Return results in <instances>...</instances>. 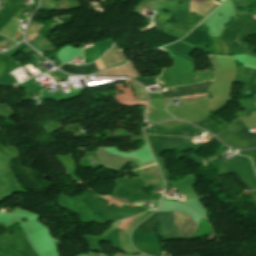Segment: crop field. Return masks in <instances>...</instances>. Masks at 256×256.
I'll list each match as a JSON object with an SVG mask.
<instances>
[{
	"mask_svg": "<svg viewBox=\"0 0 256 256\" xmlns=\"http://www.w3.org/2000/svg\"><path fill=\"white\" fill-rule=\"evenodd\" d=\"M38 33L34 34L32 37L28 38V41H31L33 38H35ZM34 48L41 52L45 51H54L55 49L51 46L49 42H47L41 35L37 36L35 39H33L31 42H29Z\"/></svg>",
	"mask_w": 256,
	"mask_h": 256,
	"instance_id": "obj_9",
	"label": "crop field"
},
{
	"mask_svg": "<svg viewBox=\"0 0 256 256\" xmlns=\"http://www.w3.org/2000/svg\"><path fill=\"white\" fill-rule=\"evenodd\" d=\"M128 81L135 89L137 101L147 100V95L144 88L135 81H131V80H128Z\"/></svg>",
	"mask_w": 256,
	"mask_h": 256,
	"instance_id": "obj_11",
	"label": "crop field"
},
{
	"mask_svg": "<svg viewBox=\"0 0 256 256\" xmlns=\"http://www.w3.org/2000/svg\"><path fill=\"white\" fill-rule=\"evenodd\" d=\"M105 198H107L108 200L112 201V202L115 203L116 205L121 206V203H118V202L114 201L113 199H111V198H109V197H105Z\"/></svg>",
	"mask_w": 256,
	"mask_h": 256,
	"instance_id": "obj_15",
	"label": "crop field"
},
{
	"mask_svg": "<svg viewBox=\"0 0 256 256\" xmlns=\"http://www.w3.org/2000/svg\"><path fill=\"white\" fill-rule=\"evenodd\" d=\"M133 68H134L133 65L129 61L127 64H125L121 67L103 71V72H99L96 74H99V75H124V76H129L131 78L139 77V76H136L138 74H137L136 70H134Z\"/></svg>",
	"mask_w": 256,
	"mask_h": 256,
	"instance_id": "obj_7",
	"label": "crop field"
},
{
	"mask_svg": "<svg viewBox=\"0 0 256 256\" xmlns=\"http://www.w3.org/2000/svg\"><path fill=\"white\" fill-rule=\"evenodd\" d=\"M111 197H113V198H115V199H117V200H119V201H121V202L129 203V201H128V200H125V199L119 198V197H117V196L112 195Z\"/></svg>",
	"mask_w": 256,
	"mask_h": 256,
	"instance_id": "obj_14",
	"label": "crop field"
},
{
	"mask_svg": "<svg viewBox=\"0 0 256 256\" xmlns=\"http://www.w3.org/2000/svg\"><path fill=\"white\" fill-rule=\"evenodd\" d=\"M100 59L104 62V64L107 67L126 61L122 53L118 50L116 46H113V48L107 51L106 54ZM101 60H98L95 63L98 65L100 69L106 68V66L103 64ZM95 63H92L89 66H82V67L64 65L61 68L71 73H78V74L89 73L99 69Z\"/></svg>",
	"mask_w": 256,
	"mask_h": 256,
	"instance_id": "obj_2",
	"label": "crop field"
},
{
	"mask_svg": "<svg viewBox=\"0 0 256 256\" xmlns=\"http://www.w3.org/2000/svg\"><path fill=\"white\" fill-rule=\"evenodd\" d=\"M210 83L211 82L202 83V84H198V85L193 84V85H189L188 87L180 86V87H177V88H179V91L177 93H174V91H169V92H161V94L163 95L164 98H171V97H177V96L206 93V90H207L208 86L210 85ZM201 95H203V94H201ZM192 96H196V95H192ZM185 97H190V96H185ZM181 98H184V97H181ZM203 98H206V95L184 98V99H182V102H183V104H185L188 102L201 100Z\"/></svg>",
	"mask_w": 256,
	"mask_h": 256,
	"instance_id": "obj_3",
	"label": "crop field"
},
{
	"mask_svg": "<svg viewBox=\"0 0 256 256\" xmlns=\"http://www.w3.org/2000/svg\"><path fill=\"white\" fill-rule=\"evenodd\" d=\"M126 83L128 84V82L126 81ZM117 87V91H116V94L117 96L114 97L120 104L122 105H127V106H133V105H145L147 101H142V102H135V99H134V96L131 92V89L129 87V84H128V88H123V85L120 84V85H116ZM124 91V94L123 95H119L118 94V91Z\"/></svg>",
	"mask_w": 256,
	"mask_h": 256,
	"instance_id": "obj_5",
	"label": "crop field"
},
{
	"mask_svg": "<svg viewBox=\"0 0 256 256\" xmlns=\"http://www.w3.org/2000/svg\"><path fill=\"white\" fill-rule=\"evenodd\" d=\"M40 25L36 24L35 22H32L27 30L26 37H29L32 35L34 32L38 30Z\"/></svg>",
	"mask_w": 256,
	"mask_h": 256,
	"instance_id": "obj_12",
	"label": "crop field"
},
{
	"mask_svg": "<svg viewBox=\"0 0 256 256\" xmlns=\"http://www.w3.org/2000/svg\"><path fill=\"white\" fill-rule=\"evenodd\" d=\"M19 19L16 18H12L7 24L6 26L0 31V34L8 37V38H13V35L15 33V30L19 24Z\"/></svg>",
	"mask_w": 256,
	"mask_h": 256,
	"instance_id": "obj_10",
	"label": "crop field"
},
{
	"mask_svg": "<svg viewBox=\"0 0 256 256\" xmlns=\"http://www.w3.org/2000/svg\"><path fill=\"white\" fill-rule=\"evenodd\" d=\"M11 42H12V41H10V40H8V39L2 37V38H0V47L3 46V45L9 44V43H11Z\"/></svg>",
	"mask_w": 256,
	"mask_h": 256,
	"instance_id": "obj_13",
	"label": "crop field"
},
{
	"mask_svg": "<svg viewBox=\"0 0 256 256\" xmlns=\"http://www.w3.org/2000/svg\"><path fill=\"white\" fill-rule=\"evenodd\" d=\"M144 213H141L137 216L133 217L132 218H127V219H124L121 224L118 226V228L124 230L125 227L129 224H130L126 227V229L124 231L120 230L119 231V234H118V243L119 245L122 247V249L128 253H134L135 251L129 246L128 244V239H127V235H128V231L130 229V227L143 215Z\"/></svg>",
	"mask_w": 256,
	"mask_h": 256,
	"instance_id": "obj_4",
	"label": "crop field"
},
{
	"mask_svg": "<svg viewBox=\"0 0 256 256\" xmlns=\"http://www.w3.org/2000/svg\"><path fill=\"white\" fill-rule=\"evenodd\" d=\"M211 57L213 58V63H214V65H215V67H217L216 61H215V57H214V56H211Z\"/></svg>",
	"mask_w": 256,
	"mask_h": 256,
	"instance_id": "obj_16",
	"label": "crop field"
},
{
	"mask_svg": "<svg viewBox=\"0 0 256 256\" xmlns=\"http://www.w3.org/2000/svg\"><path fill=\"white\" fill-rule=\"evenodd\" d=\"M215 6L208 1L191 0L189 11L205 17Z\"/></svg>",
	"mask_w": 256,
	"mask_h": 256,
	"instance_id": "obj_6",
	"label": "crop field"
},
{
	"mask_svg": "<svg viewBox=\"0 0 256 256\" xmlns=\"http://www.w3.org/2000/svg\"><path fill=\"white\" fill-rule=\"evenodd\" d=\"M156 212L162 226V235L166 239L185 238L184 235L187 238L194 234L198 229L200 219H187V217L175 212L174 220V212L162 210H156ZM156 212L140 223L134 231L154 234L153 227L156 222L159 221ZM173 220L176 226L182 225L186 220L185 224L179 227L184 235L181 233L178 227L172 223Z\"/></svg>",
	"mask_w": 256,
	"mask_h": 256,
	"instance_id": "obj_1",
	"label": "crop field"
},
{
	"mask_svg": "<svg viewBox=\"0 0 256 256\" xmlns=\"http://www.w3.org/2000/svg\"><path fill=\"white\" fill-rule=\"evenodd\" d=\"M141 177L147 184H157L159 181L160 173L156 165L140 169Z\"/></svg>",
	"mask_w": 256,
	"mask_h": 256,
	"instance_id": "obj_8",
	"label": "crop field"
}]
</instances>
